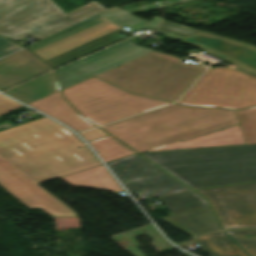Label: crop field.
Returning a JSON list of instances; mask_svg holds the SVG:
<instances>
[{
    "label": "crop field",
    "instance_id": "8a807250",
    "mask_svg": "<svg viewBox=\"0 0 256 256\" xmlns=\"http://www.w3.org/2000/svg\"><path fill=\"white\" fill-rule=\"evenodd\" d=\"M82 143L69 130L44 117L1 131L0 155L41 184L101 165Z\"/></svg>",
    "mask_w": 256,
    "mask_h": 256
},
{
    "label": "crop field",
    "instance_id": "ac0d7876",
    "mask_svg": "<svg viewBox=\"0 0 256 256\" xmlns=\"http://www.w3.org/2000/svg\"><path fill=\"white\" fill-rule=\"evenodd\" d=\"M238 124L232 110L174 104L101 128L135 150L144 151Z\"/></svg>",
    "mask_w": 256,
    "mask_h": 256
},
{
    "label": "crop field",
    "instance_id": "34b2d1b8",
    "mask_svg": "<svg viewBox=\"0 0 256 256\" xmlns=\"http://www.w3.org/2000/svg\"><path fill=\"white\" fill-rule=\"evenodd\" d=\"M142 155L193 189L256 181V144Z\"/></svg>",
    "mask_w": 256,
    "mask_h": 256
},
{
    "label": "crop field",
    "instance_id": "412701ff",
    "mask_svg": "<svg viewBox=\"0 0 256 256\" xmlns=\"http://www.w3.org/2000/svg\"><path fill=\"white\" fill-rule=\"evenodd\" d=\"M161 19L150 23L114 7L28 48L56 68L125 39L121 28L156 29Z\"/></svg>",
    "mask_w": 256,
    "mask_h": 256
},
{
    "label": "crop field",
    "instance_id": "f4fd0767",
    "mask_svg": "<svg viewBox=\"0 0 256 256\" xmlns=\"http://www.w3.org/2000/svg\"><path fill=\"white\" fill-rule=\"evenodd\" d=\"M204 70L203 66L186 64L177 57L153 51L96 77L130 93L174 102Z\"/></svg>",
    "mask_w": 256,
    "mask_h": 256
},
{
    "label": "crop field",
    "instance_id": "dd49c442",
    "mask_svg": "<svg viewBox=\"0 0 256 256\" xmlns=\"http://www.w3.org/2000/svg\"><path fill=\"white\" fill-rule=\"evenodd\" d=\"M63 93L81 115L98 126L170 103L130 95L96 77Z\"/></svg>",
    "mask_w": 256,
    "mask_h": 256
},
{
    "label": "crop field",
    "instance_id": "e52e79f7",
    "mask_svg": "<svg viewBox=\"0 0 256 256\" xmlns=\"http://www.w3.org/2000/svg\"><path fill=\"white\" fill-rule=\"evenodd\" d=\"M105 10L94 1L64 14L52 0H30L0 18V36L16 42L29 35L43 40Z\"/></svg>",
    "mask_w": 256,
    "mask_h": 256
},
{
    "label": "crop field",
    "instance_id": "d8731c3e",
    "mask_svg": "<svg viewBox=\"0 0 256 256\" xmlns=\"http://www.w3.org/2000/svg\"><path fill=\"white\" fill-rule=\"evenodd\" d=\"M179 103L231 109L256 106V78L231 67L209 68Z\"/></svg>",
    "mask_w": 256,
    "mask_h": 256
},
{
    "label": "crop field",
    "instance_id": "5a996713",
    "mask_svg": "<svg viewBox=\"0 0 256 256\" xmlns=\"http://www.w3.org/2000/svg\"><path fill=\"white\" fill-rule=\"evenodd\" d=\"M128 191L142 201L188 190L138 154L107 163Z\"/></svg>",
    "mask_w": 256,
    "mask_h": 256
},
{
    "label": "crop field",
    "instance_id": "3316defc",
    "mask_svg": "<svg viewBox=\"0 0 256 256\" xmlns=\"http://www.w3.org/2000/svg\"><path fill=\"white\" fill-rule=\"evenodd\" d=\"M197 192L209 199L223 229H256V183Z\"/></svg>",
    "mask_w": 256,
    "mask_h": 256
},
{
    "label": "crop field",
    "instance_id": "28ad6ade",
    "mask_svg": "<svg viewBox=\"0 0 256 256\" xmlns=\"http://www.w3.org/2000/svg\"><path fill=\"white\" fill-rule=\"evenodd\" d=\"M153 50L139 47L126 40L92 56L57 70L62 88L88 79L98 73L136 59Z\"/></svg>",
    "mask_w": 256,
    "mask_h": 256
},
{
    "label": "crop field",
    "instance_id": "d1516ede",
    "mask_svg": "<svg viewBox=\"0 0 256 256\" xmlns=\"http://www.w3.org/2000/svg\"><path fill=\"white\" fill-rule=\"evenodd\" d=\"M0 186L30 209L40 207L50 216L77 214L0 156Z\"/></svg>",
    "mask_w": 256,
    "mask_h": 256
},
{
    "label": "crop field",
    "instance_id": "22f410ed",
    "mask_svg": "<svg viewBox=\"0 0 256 256\" xmlns=\"http://www.w3.org/2000/svg\"><path fill=\"white\" fill-rule=\"evenodd\" d=\"M181 41L203 49L211 55L227 60L238 66V68L256 74V48L252 46L202 31Z\"/></svg>",
    "mask_w": 256,
    "mask_h": 256
},
{
    "label": "crop field",
    "instance_id": "cbeb9de0",
    "mask_svg": "<svg viewBox=\"0 0 256 256\" xmlns=\"http://www.w3.org/2000/svg\"><path fill=\"white\" fill-rule=\"evenodd\" d=\"M51 70L26 49L0 60V91Z\"/></svg>",
    "mask_w": 256,
    "mask_h": 256
},
{
    "label": "crop field",
    "instance_id": "5142ce71",
    "mask_svg": "<svg viewBox=\"0 0 256 256\" xmlns=\"http://www.w3.org/2000/svg\"><path fill=\"white\" fill-rule=\"evenodd\" d=\"M28 105L58 119L76 131L95 127L89 121L78 115L63 100L59 91Z\"/></svg>",
    "mask_w": 256,
    "mask_h": 256
},
{
    "label": "crop field",
    "instance_id": "d9b57169",
    "mask_svg": "<svg viewBox=\"0 0 256 256\" xmlns=\"http://www.w3.org/2000/svg\"><path fill=\"white\" fill-rule=\"evenodd\" d=\"M161 219L192 236L220 229L210 207L180 213Z\"/></svg>",
    "mask_w": 256,
    "mask_h": 256
},
{
    "label": "crop field",
    "instance_id": "733c2abd",
    "mask_svg": "<svg viewBox=\"0 0 256 256\" xmlns=\"http://www.w3.org/2000/svg\"><path fill=\"white\" fill-rule=\"evenodd\" d=\"M245 144L240 126H234L188 141H178L144 152Z\"/></svg>",
    "mask_w": 256,
    "mask_h": 256
},
{
    "label": "crop field",
    "instance_id": "4a817a6b",
    "mask_svg": "<svg viewBox=\"0 0 256 256\" xmlns=\"http://www.w3.org/2000/svg\"><path fill=\"white\" fill-rule=\"evenodd\" d=\"M58 90L54 72L52 71L5 93L28 104Z\"/></svg>",
    "mask_w": 256,
    "mask_h": 256
},
{
    "label": "crop field",
    "instance_id": "bc2a9ffb",
    "mask_svg": "<svg viewBox=\"0 0 256 256\" xmlns=\"http://www.w3.org/2000/svg\"><path fill=\"white\" fill-rule=\"evenodd\" d=\"M72 186H85L123 191L103 165L61 177Z\"/></svg>",
    "mask_w": 256,
    "mask_h": 256
},
{
    "label": "crop field",
    "instance_id": "214f88e0",
    "mask_svg": "<svg viewBox=\"0 0 256 256\" xmlns=\"http://www.w3.org/2000/svg\"><path fill=\"white\" fill-rule=\"evenodd\" d=\"M209 256H246V254L223 232L199 236Z\"/></svg>",
    "mask_w": 256,
    "mask_h": 256
},
{
    "label": "crop field",
    "instance_id": "92a150f3",
    "mask_svg": "<svg viewBox=\"0 0 256 256\" xmlns=\"http://www.w3.org/2000/svg\"><path fill=\"white\" fill-rule=\"evenodd\" d=\"M173 214L207 207L205 199L193 191L159 199Z\"/></svg>",
    "mask_w": 256,
    "mask_h": 256
},
{
    "label": "crop field",
    "instance_id": "dafd665d",
    "mask_svg": "<svg viewBox=\"0 0 256 256\" xmlns=\"http://www.w3.org/2000/svg\"><path fill=\"white\" fill-rule=\"evenodd\" d=\"M89 144L104 162L134 153L128 147L110 136L89 142Z\"/></svg>",
    "mask_w": 256,
    "mask_h": 256
},
{
    "label": "crop field",
    "instance_id": "00972430",
    "mask_svg": "<svg viewBox=\"0 0 256 256\" xmlns=\"http://www.w3.org/2000/svg\"><path fill=\"white\" fill-rule=\"evenodd\" d=\"M236 112L245 143H256V107Z\"/></svg>",
    "mask_w": 256,
    "mask_h": 256
},
{
    "label": "crop field",
    "instance_id": "a9b5d70f",
    "mask_svg": "<svg viewBox=\"0 0 256 256\" xmlns=\"http://www.w3.org/2000/svg\"><path fill=\"white\" fill-rule=\"evenodd\" d=\"M249 256H256V231H225Z\"/></svg>",
    "mask_w": 256,
    "mask_h": 256
},
{
    "label": "crop field",
    "instance_id": "4177f3b9",
    "mask_svg": "<svg viewBox=\"0 0 256 256\" xmlns=\"http://www.w3.org/2000/svg\"><path fill=\"white\" fill-rule=\"evenodd\" d=\"M197 31L199 30H195L189 27L163 20L162 24L156 32L181 40Z\"/></svg>",
    "mask_w": 256,
    "mask_h": 256
},
{
    "label": "crop field",
    "instance_id": "730fd06b",
    "mask_svg": "<svg viewBox=\"0 0 256 256\" xmlns=\"http://www.w3.org/2000/svg\"><path fill=\"white\" fill-rule=\"evenodd\" d=\"M28 0H0V17Z\"/></svg>",
    "mask_w": 256,
    "mask_h": 256
},
{
    "label": "crop field",
    "instance_id": "eef30255",
    "mask_svg": "<svg viewBox=\"0 0 256 256\" xmlns=\"http://www.w3.org/2000/svg\"><path fill=\"white\" fill-rule=\"evenodd\" d=\"M22 48L21 46L15 44L14 42L6 39V38H0V57L9 54L13 51H16L18 49Z\"/></svg>",
    "mask_w": 256,
    "mask_h": 256
},
{
    "label": "crop field",
    "instance_id": "ae1a2a85",
    "mask_svg": "<svg viewBox=\"0 0 256 256\" xmlns=\"http://www.w3.org/2000/svg\"><path fill=\"white\" fill-rule=\"evenodd\" d=\"M20 106L22 105L0 94V115Z\"/></svg>",
    "mask_w": 256,
    "mask_h": 256
},
{
    "label": "crop field",
    "instance_id": "d3111659",
    "mask_svg": "<svg viewBox=\"0 0 256 256\" xmlns=\"http://www.w3.org/2000/svg\"><path fill=\"white\" fill-rule=\"evenodd\" d=\"M80 135L82 137H84L87 141L107 135L104 131H102L101 129L97 128L94 130H90L84 133H80Z\"/></svg>",
    "mask_w": 256,
    "mask_h": 256
}]
</instances>
